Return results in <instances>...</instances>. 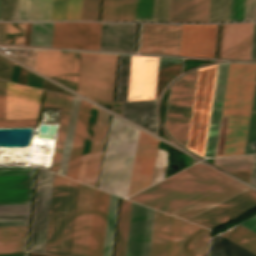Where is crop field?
<instances>
[{
    "instance_id": "42",
    "label": "crop field",
    "mask_w": 256,
    "mask_h": 256,
    "mask_svg": "<svg viewBox=\"0 0 256 256\" xmlns=\"http://www.w3.org/2000/svg\"><path fill=\"white\" fill-rule=\"evenodd\" d=\"M230 0H210L208 22H228Z\"/></svg>"
},
{
    "instance_id": "31",
    "label": "crop field",
    "mask_w": 256,
    "mask_h": 256,
    "mask_svg": "<svg viewBox=\"0 0 256 256\" xmlns=\"http://www.w3.org/2000/svg\"><path fill=\"white\" fill-rule=\"evenodd\" d=\"M170 216L155 211L150 256H166Z\"/></svg>"
},
{
    "instance_id": "11",
    "label": "crop field",
    "mask_w": 256,
    "mask_h": 256,
    "mask_svg": "<svg viewBox=\"0 0 256 256\" xmlns=\"http://www.w3.org/2000/svg\"><path fill=\"white\" fill-rule=\"evenodd\" d=\"M256 208V192L248 190L188 221L214 229Z\"/></svg>"
},
{
    "instance_id": "18",
    "label": "crop field",
    "mask_w": 256,
    "mask_h": 256,
    "mask_svg": "<svg viewBox=\"0 0 256 256\" xmlns=\"http://www.w3.org/2000/svg\"><path fill=\"white\" fill-rule=\"evenodd\" d=\"M136 23H102L100 50L133 52Z\"/></svg>"
},
{
    "instance_id": "40",
    "label": "crop field",
    "mask_w": 256,
    "mask_h": 256,
    "mask_svg": "<svg viewBox=\"0 0 256 256\" xmlns=\"http://www.w3.org/2000/svg\"><path fill=\"white\" fill-rule=\"evenodd\" d=\"M183 221L171 216L167 256H179Z\"/></svg>"
},
{
    "instance_id": "30",
    "label": "crop field",
    "mask_w": 256,
    "mask_h": 256,
    "mask_svg": "<svg viewBox=\"0 0 256 256\" xmlns=\"http://www.w3.org/2000/svg\"><path fill=\"white\" fill-rule=\"evenodd\" d=\"M153 0H137L135 21H151ZM169 0H154L152 21L167 22Z\"/></svg>"
},
{
    "instance_id": "20",
    "label": "crop field",
    "mask_w": 256,
    "mask_h": 256,
    "mask_svg": "<svg viewBox=\"0 0 256 256\" xmlns=\"http://www.w3.org/2000/svg\"><path fill=\"white\" fill-rule=\"evenodd\" d=\"M229 64L218 68L204 156L214 157Z\"/></svg>"
},
{
    "instance_id": "39",
    "label": "crop field",
    "mask_w": 256,
    "mask_h": 256,
    "mask_svg": "<svg viewBox=\"0 0 256 256\" xmlns=\"http://www.w3.org/2000/svg\"><path fill=\"white\" fill-rule=\"evenodd\" d=\"M131 56L121 55L116 101H127Z\"/></svg>"
},
{
    "instance_id": "15",
    "label": "crop field",
    "mask_w": 256,
    "mask_h": 256,
    "mask_svg": "<svg viewBox=\"0 0 256 256\" xmlns=\"http://www.w3.org/2000/svg\"><path fill=\"white\" fill-rule=\"evenodd\" d=\"M42 90L7 82L6 119L36 118Z\"/></svg>"
},
{
    "instance_id": "55",
    "label": "crop field",
    "mask_w": 256,
    "mask_h": 256,
    "mask_svg": "<svg viewBox=\"0 0 256 256\" xmlns=\"http://www.w3.org/2000/svg\"><path fill=\"white\" fill-rule=\"evenodd\" d=\"M239 225H241V226H243V227H245V228H247V229L256 233V216L247 220V221H245V222H243V223H241V224H239Z\"/></svg>"
},
{
    "instance_id": "32",
    "label": "crop field",
    "mask_w": 256,
    "mask_h": 256,
    "mask_svg": "<svg viewBox=\"0 0 256 256\" xmlns=\"http://www.w3.org/2000/svg\"><path fill=\"white\" fill-rule=\"evenodd\" d=\"M82 0H53L51 21L80 20Z\"/></svg>"
},
{
    "instance_id": "43",
    "label": "crop field",
    "mask_w": 256,
    "mask_h": 256,
    "mask_svg": "<svg viewBox=\"0 0 256 256\" xmlns=\"http://www.w3.org/2000/svg\"><path fill=\"white\" fill-rule=\"evenodd\" d=\"M52 0H33L31 21H50Z\"/></svg>"
},
{
    "instance_id": "25",
    "label": "crop field",
    "mask_w": 256,
    "mask_h": 256,
    "mask_svg": "<svg viewBox=\"0 0 256 256\" xmlns=\"http://www.w3.org/2000/svg\"><path fill=\"white\" fill-rule=\"evenodd\" d=\"M90 107V104L84 101L80 102L77 123L66 174L67 177L75 180L77 178Z\"/></svg>"
},
{
    "instance_id": "23",
    "label": "crop field",
    "mask_w": 256,
    "mask_h": 256,
    "mask_svg": "<svg viewBox=\"0 0 256 256\" xmlns=\"http://www.w3.org/2000/svg\"><path fill=\"white\" fill-rule=\"evenodd\" d=\"M72 100L73 98L67 95L57 94V93L48 92V91H46L45 93L43 105L63 108V113H62V118H61L52 168H51L52 171H55L57 173L59 171Z\"/></svg>"
},
{
    "instance_id": "35",
    "label": "crop field",
    "mask_w": 256,
    "mask_h": 256,
    "mask_svg": "<svg viewBox=\"0 0 256 256\" xmlns=\"http://www.w3.org/2000/svg\"><path fill=\"white\" fill-rule=\"evenodd\" d=\"M131 202L122 199L117 246L115 256H124Z\"/></svg>"
},
{
    "instance_id": "33",
    "label": "crop field",
    "mask_w": 256,
    "mask_h": 256,
    "mask_svg": "<svg viewBox=\"0 0 256 256\" xmlns=\"http://www.w3.org/2000/svg\"><path fill=\"white\" fill-rule=\"evenodd\" d=\"M209 256H256L236 244L218 236L211 240Z\"/></svg>"
},
{
    "instance_id": "14",
    "label": "crop field",
    "mask_w": 256,
    "mask_h": 256,
    "mask_svg": "<svg viewBox=\"0 0 256 256\" xmlns=\"http://www.w3.org/2000/svg\"><path fill=\"white\" fill-rule=\"evenodd\" d=\"M94 189L79 183L70 256H86Z\"/></svg>"
},
{
    "instance_id": "7",
    "label": "crop field",
    "mask_w": 256,
    "mask_h": 256,
    "mask_svg": "<svg viewBox=\"0 0 256 256\" xmlns=\"http://www.w3.org/2000/svg\"><path fill=\"white\" fill-rule=\"evenodd\" d=\"M53 177L39 168L29 251L44 253Z\"/></svg>"
},
{
    "instance_id": "54",
    "label": "crop field",
    "mask_w": 256,
    "mask_h": 256,
    "mask_svg": "<svg viewBox=\"0 0 256 256\" xmlns=\"http://www.w3.org/2000/svg\"><path fill=\"white\" fill-rule=\"evenodd\" d=\"M28 220H1L0 226H27Z\"/></svg>"
},
{
    "instance_id": "49",
    "label": "crop field",
    "mask_w": 256,
    "mask_h": 256,
    "mask_svg": "<svg viewBox=\"0 0 256 256\" xmlns=\"http://www.w3.org/2000/svg\"><path fill=\"white\" fill-rule=\"evenodd\" d=\"M32 0H20L18 21H30Z\"/></svg>"
},
{
    "instance_id": "10",
    "label": "crop field",
    "mask_w": 256,
    "mask_h": 256,
    "mask_svg": "<svg viewBox=\"0 0 256 256\" xmlns=\"http://www.w3.org/2000/svg\"><path fill=\"white\" fill-rule=\"evenodd\" d=\"M154 211L132 202L125 256H149Z\"/></svg>"
},
{
    "instance_id": "59",
    "label": "crop field",
    "mask_w": 256,
    "mask_h": 256,
    "mask_svg": "<svg viewBox=\"0 0 256 256\" xmlns=\"http://www.w3.org/2000/svg\"><path fill=\"white\" fill-rule=\"evenodd\" d=\"M1 219H28V216H1Z\"/></svg>"
},
{
    "instance_id": "27",
    "label": "crop field",
    "mask_w": 256,
    "mask_h": 256,
    "mask_svg": "<svg viewBox=\"0 0 256 256\" xmlns=\"http://www.w3.org/2000/svg\"><path fill=\"white\" fill-rule=\"evenodd\" d=\"M122 117L157 133L156 100L122 103Z\"/></svg>"
},
{
    "instance_id": "2",
    "label": "crop field",
    "mask_w": 256,
    "mask_h": 256,
    "mask_svg": "<svg viewBox=\"0 0 256 256\" xmlns=\"http://www.w3.org/2000/svg\"><path fill=\"white\" fill-rule=\"evenodd\" d=\"M256 65L230 64L222 115L230 116L224 154H244ZM228 118L223 117L217 154H222Z\"/></svg>"
},
{
    "instance_id": "50",
    "label": "crop field",
    "mask_w": 256,
    "mask_h": 256,
    "mask_svg": "<svg viewBox=\"0 0 256 256\" xmlns=\"http://www.w3.org/2000/svg\"><path fill=\"white\" fill-rule=\"evenodd\" d=\"M14 63L0 56V78L9 80L13 70Z\"/></svg>"
},
{
    "instance_id": "37",
    "label": "crop field",
    "mask_w": 256,
    "mask_h": 256,
    "mask_svg": "<svg viewBox=\"0 0 256 256\" xmlns=\"http://www.w3.org/2000/svg\"><path fill=\"white\" fill-rule=\"evenodd\" d=\"M79 102H80L79 99L74 98L71 115H70V120H69V125H68V130H67L64 151H63V156H62V161H61V166H60V171H59V173L64 176L66 174L69 153H70L75 123H76V117H77V112H78V107H79Z\"/></svg>"
},
{
    "instance_id": "45",
    "label": "crop field",
    "mask_w": 256,
    "mask_h": 256,
    "mask_svg": "<svg viewBox=\"0 0 256 256\" xmlns=\"http://www.w3.org/2000/svg\"><path fill=\"white\" fill-rule=\"evenodd\" d=\"M255 149H256V87H255V93H254V100H253L245 154L255 153Z\"/></svg>"
},
{
    "instance_id": "16",
    "label": "crop field",
    "mask_w": 256,
    "mask_h": 256,
    "mask_svg": "<svg viewBox=\"0 0 256 256\" xmlns=\"http://www.w3.org/2000/svg\"><path fill=\"white\" fill-rule=\"evenodd\" d=\"M216 25H183L179 55L213 58Z\"/></svg>"
},
{
    "instance_id": "60",
    "label": "crop field",
    "mask_w": 256,
    "mask_h": 256,
    "mask_svg": "<svg viewBox=\"0 0 256 256\" xmlns=\"http://www.w3.org/2000/svg\"><path fill=\"white\" fill-rule=\"evenodd\" d=\"M31 255H32V256H43V255H37V254H32V253H31Z\"/></svg>"
},
{
    "instance_id": "46",
    "label": "crop field",
    "mask_w": 256,
    "mask_h": 256,
    "mask_svg": "<svg viewBox=\"0 0 256 256\" xmlns=\"http://www.w3.org/2000/svg\"><path fill=\"white\" fill-rule=\"evenodd\" d=\"M100 0H83L81 20H98Z\"/></svg>"
},
{
    "instance_id": "4",
    "label": "crop field",
    "mask_w": 256,
    "mask_h": 256,
    "mask_svg": "<svg viewBox=\"0 0 256 256\" xmlns=\"http://www.w3.org/2000/svg\"><path fill=\"white\" fill-rule=\"evenodd\" d=\"M78 183L55 174L45 253L69 256Z\"/></svg>"
},
{
    "instance_id": "52",
    "label": "crop field",
    "mask_w": 256,
    "mask_h": 256,
    "mask_svg": "<svg viewBox=\"0 0 256 256\" xmlns=\"http://www.w3.org/2000/svg\"><path fill=\"white\" fill-rule=\"evenodd\" d=\"M36 120H0V127L35 126Z\"/></svg>"
},
{
    "instance_id": "53",
    "label": "crop field",
    "mask_w": 256,
    "mask_h": 256,
    "mask_svg": "<svg viewBox=\"0 0 256 256\" xmlns=\"http://www.w3.org/2000/svg\"><path fill=\"white\" fill-rule=\"evenodd\" d=\"M6 82L0 81V119H5Z\"/></svg>"
},
{
    "instance_id": "21",
    "label": "crop field",
    "mask_w": 256,
    "mask_h": 256,
    "mask_svg": "<svg viewBox=\"0 0 256 256\" xmlns=\"http://www.w3.org/2000/svg\"><path fill=\"white\" fill-rule=\"evenodd\" d=\"M110 115L97 111L84 182L95 187Z\"/></svg>"
},
{
    "instance_id": "48",
    "label": "crop field",
    "mask_w": 256,
    "mask_h": 256,
    "mask_svg": "<svg viewBox=\"0 0 256 256\" xmlns=\"http://www.w3.org/2000/svg\"><path fill=\"white\" fill-rule=\"evenodd\" d=\"M30 207L28 205H3L0 206L1 215H28Z\"/></svg>"
},
{
    "instance_id": "38",
    "label": "crop field",
    "mask_w": 256,
    "mask_h": 256,
    "mask_svg": "<svg viewBox=\"0 0 256 256\" xmlns=\"http://www.w3.org/2000/svg\"><path fill=\"white\" fill-rule=\"evenodd\" d=\"M53 23H32L30 46L51 47Z\"/></svg>"
},
{
    "instance_id": "34",
    "label": "crop field",
    "mask_w": 256,
    "mask_h": 256,
    "mask_svg": "<svg viewBox=\"0 0 256 256\" xmlns=\"http://www.w3.org/2000/svg\"><path fill=\"white\" fill-rule=\"evenodd\" d=\"M221 236L256 254L255 233L238 225Z\"/></svg>"
},
{
    "instance_id": "6",
    "label": "crop field",
    "mask_w": 256,
    "mask_h": 256,
    "mask_svg": "<svg viewBox=\"0 0 256 256\" xmlns=\"http://www.w3.org/2000/svg\"><path fill=\"white\" fill-rule=\"evenodd\" d=\"M197 73L198 70L189 73L172 86L165 124L172 136L185 146L188 138Z\"/></svg>"
},
{
    "instance_id": "58",
    "label": "crop field",
    "mask_w": 256,
    "mask_h": 256,
    "mask_svg": "<svg viewBox=\"0 0 256 256\" xmlns=\"http://www.w3.org/2000/svg\"><path fill=\"white\" fill-rule=\"evenodd\" d=\"M7 23H0V42L5 43Z\"/></svg>"
},
{
    "instance_id": "51",
    "label": "crop field",
    "mask_w": 256,
    "mask_h": 256,
    "mask_svg": "<svg viewBox=\"0 0 256 256\" xmlns=\"http://www.w3.org/2000/svg\"><path fill=\"white\" fill-rule=\"evenodd\" d=\"M256 20V0H246L244 21Z\"/></svg>"
},
{
    "instance_id": "36",
    "label": "crop field",
    "mask_w": 256,
    "mask_h": 256,
    "mask_svg": "<svg viewBox=\"0 0 256 256\" xmlns=\"http://www.w3.org/2000/svg\"><path fill=\"white\" fill-rule=\"evenodd\" d=\"M118 197L109 198L103 256H111Z\"/></svg>"
},
{
    "instance_id": "56",
    "label": "crop field",
    "mask_w": 256,
    "mask_h": 256,
    "mask_svg": "<svg viewBox=\"0 0 256 256\" xmlns=\"http://www.w3.org/2000/svg\"><path fill=\"white\" fill-rule=\"evenodd\" d=\"M251 60H256V23H254V29H253V42H252Z\"/></svg>"
},
{
    "instance_id": "24",
    "label": "crop field",
    "mask_w": 256,
    "mask_h": 256,
    "mask_svg": "<svg viewBox=\"0 0 256 256\" xmlns=\"http://www.w3.org/2000/svg\"><path fill=\"white\" fill-rule=\"evenodd\" d=\"M247 189L249 188L235 182L171 215L187 220Z\"/></svg>"
},
{
    "instance_id": "28",
    "label": "crop field",
    "mask_w": 256,
    "mask_h": 256,
    "mask_svg": "<svg viewBox=\"0 0 256 256\" xmlns=\"http://www.w3.org/2000/svg\"><path fill=\"white\" fill-rule=\"evenodd\" d=\"M27 227L0 228V256L26 255L24 251Z\"/></svg>"
},
{
    "instance_id": "29",
    "label": "crop field",
    "mask_w": 256,
    "mask_h": 256,
    "mask_svg": "<svg viewBox=\"0 0 256 256\" xmlns=\"http://www.w3.org/2000/svg\"><path fill=\"white\" fill-rule=\"evenodd\" d=\"M136 0H103L101 20L134 21Z\"/></svg>"
},
{
    "instance_id": "26",
    "label": "crop field",
    "mask_w": 256,
    "mask_h": 256,
    "mask_svg": "<svg viewBox=\"0 0 256 256\" xmlns=\"http://www.w3.org/2000/svg\"><path fill=\"white\" fill-rule=\"evenodd\" d=\"M210 232L184 221L180 256H206Z\"/></svg>"
},
{
    "instance_id": "1",
    "label": "crop field",
    "mask_w": 256,
    "mask_h": 256,
    "mask_svg": "<svg viewBox=\"0 0 256 256\" xmlns=\"http://www.w3.org/2000/svg\"><path fill=\"white\" fill-rule=\"evenodd\" d=\"M232 182L215 170L197 163L129 199L170 214Z\"/></svg>"
},
{
    "instance_id": "12",
    "label": "crop field",
    "mask_w": 256,
    "mask_h": 256,
    "mask_svg": "<svg viewBox=\"0 0 256 256\" xmlns=\"http://www.w3.org/2000/svg\"><path fill=\"white\" fill-rule=\"evenodd\" d=\"M34 167H1L0 182L33 181ZM32 182L0 183L1 204H30Z\"/></svg>"
},
{
    "instance_id": "44",
    "label": "crop field",
    "mask_w": 256,
    "mask_h": 256,
    "mask_svg": "<svg viewBox=\"0 0 256 256\" xmlns=\"http://www.w3.org/2000/svg\"><path fill=\"white\" fill-rule=\"evenodd\" d=\"M19 0H1L0 21H17Z\"/></svg>"
},
{
    "instance_id": "9",
    "label": "crop field",
    "mask_w": 256,
    "mask_h": 256,
    "mask_svg": "<svg viewBox=\"0 0 256 256\" xmlns=\"http://www.w3.org/2000/svg\"><path fill=\"white\" fill-rule=\"evenodd\" d=\"M182 25L142 24L139 53L178 55Z\"/></svg>"
},
{
    "instance_id": "19",
    "label": "crop field",
    "mask_w": 256,
    "mask_h": 256,
    "mask_svg": "<svg viewBox=\"0 0 256 256\" xmlns=\"http://www.w3.org/2000/svg\"><path fill=\"white\" fill-rule=\"evenodd\" d=\"M108 198V193L95 189L87 256H102Z\"/></svg>"
},
{
    "instance_id": "22",
    "label": "crop field",
    "mask_w": 256,
    "mask_h": 256,
    "mask_svg": "<svg viewBox=\"0 0 256 256\" xmlns=\"http://www.w3.org/2000/svg\"><path fill=\"white\" fill-rule=\"evenodd\" d=\"M209 0H170L168 22H207Z\"/></svg>"
},
{
    "instance_id": "41",
    "label": "crop field",
    "mask_w": 256,
    "mask_h": 256,
    "mask_svg": "<svg viewBox=\"0 0 256 256\" xmlns=\"http://www.w3.org/2000/svg\"><path fill=\"white\" fill-rule=\"evenodd\" d=\"M250 159H251V156L223 158V159H217L216 164L225 165V164L247 163V162H250ZM248 167H249V164H240V165L224 166L223 168H225L229 171H239V170H248ZM250 173H251V171H245V172H233L231 174L249 182Z\"/></svg>"
},
{
    "instance_id": "47",
    "label": "crop field",
    "mask_w": 256,
    "mask_h": 256,
    "mask_svg": "<svg viewBox=\"0 0 256 256\" xmlns=\"http://www.w3.org/2000/svg\"><path fill=\"white\" fill-rule=\"evenodd\" d=\"M245 0H231L229 22L243 21Z\"/></svg>"
},
{
    "instance_id": "3",
    "label": "crop field",
    "mask_w": 256,
    "mask_h": 256,
    "mask_svg": "<svg viewBox=\"0 0 256 256\" xmlns=\"http://www.w3.org/2000/svg\"><path fill=\"white\" fill-rule=\"evenodd\" d=\"M139 130L112 117L99 189L126 197Z\"/></svg>"
},
{
    "instance_id": "13",
    "label": "crop field",
    "mask_w": 256,
    "mask_h": 256,
    "mask_svg": "<svg viewBox=\"0 0 256 256\" xmlns=\"http://www.w3.org/2000/svg\"><path fill=\"white\" fill-rule=\"evenodd\" d=\"M158 58L132 56L128 101L154 99Z\"/></svg>"
},
{
    "instance_id": "5",
    "label": "crop field",
    "mask_w": 256,
    "mask_h": 256,
    "mask_svg": "<svg viewBox=\"0 0 256 256\" xmlns=\"http://www.w3.org/2000/svg\"><path fill=\"white\" fill-rule=\"evenodd\" d=\"M217 65L199 70L187 148L203 156Z\"/></svg>"
},
{
    "instance_id": "17",
    "label": "crop field",
    "mask_w": 256,
    "mask_h": 256,
    "mask_svg": "<svg viewBox=\"0 0 256 256\" xmlns=\"http://www.w3.org/2000/svg\"><path fill=\"white\" fill-rule=\"evenodd\" d=\"M253 23L224 24L221 58L250 60Z\"/></svg>"
},
{
    "instance_id": "57",
    "label": "crop field",
    "mask_w": 256,
    "mask_h": 256,
    "mask_svg": "<svg viewBox=\"0 0 256 256\" xmlns=\"http://www.w3.org/2000/svg\"><path fill=\"white\" fill-rule=\"evenodd\" d=\"M250 184L256 186V155L253 158V165H252V174Z\"/></svg>"
},
{
    "instance_id": "8",
    "label": "crop field",
    "mask_w": 256,
    "mask_h": 256,
    "mask_svg": "<svg viewBox=\"0 0 256 256\" xmlns=\"http://www.w3.org/2000/svg\"><path fill=\"white\" fill-rule=\"evenodd\" d=\"M101 23H54L52 47L99 50Z\"/></svg>"
}]
</instances>
